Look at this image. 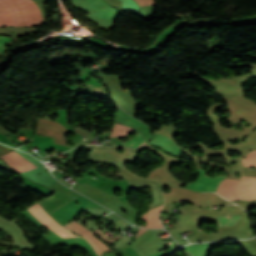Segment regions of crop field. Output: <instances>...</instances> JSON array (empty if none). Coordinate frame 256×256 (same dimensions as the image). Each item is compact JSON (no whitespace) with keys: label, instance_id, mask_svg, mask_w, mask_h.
<instances>
[{"label":"crop field","instance_id":"crop-field-15","mask_svg":"<svg viewBox=\"0 0 256 256\" xmlns=\"http://www.w3.org/2000/svg\"><path fill=\"white\" fill-rule=\"evenodd\" d=\"M145 231H147V230H143V229H140V231L138 232V234H137V237H139L141 234H143Z\"/></svg>","mask_w":256,"mask_h":256},{"label":"crop field","instance_id":"crop-field-6","mask_svg":"<svg viewBox=\"0 0 256 256\" xmlns=\"http://www.w3.org/2000/svg\"><path fill=\"white\" fill-rule=\"evenodd\" d=\"M154 135H155V137L152 139L150 144H152L154 146H158V147L162 148L164 151H166L170 154H173L175 156H179L185 152L182 149H180L177 145H175L171 141L170 138H168L162 134H159L157 132H154Z\"/></svg>","mask_w":256,"mask_h":256},{"label":"crop field","instance_id":"crop-field-12","mask_svg":"<svg viewBox=\"0 0 256 256\" xmlns=\"http://www.w3.org/2000/svg\"><path fill=\"white\" fill-rule=\"evenodd\" d=\"M133 129L127 127V126H123V125H120V124H114V127H113V132L112 134L110 135V137H119V136H124L130 132H132Z\"/></svg>","mask_w":256,"mask_h":256},{"label":"crop field","instance_id":"crop-field-3","mask_svg":"<svg viewBox=\"0 0 256 256\" xmlns=\"http://www.w3.org/2000/svg\"><path fill=\"white\" fill-rule=\"evenodd\" d=\"M197 171L199 173L198 177L194 181L187 183L184 189L197 191V192L215 191L217 185L225 177V176L219 175L217 177L210 178L205 175L208 171L201 170V169H198Z\"/></svg>","mask_w":256,"mask_h":256},{"label":"crop field","instance_id":"crop-field-2","mask_svg":"<svg viewBox=\"0 0 256 256\" xmlns=\"http://www.w3.org/2000/svg\"><path fill=\"white\" fill-rule=\"evenodd\" d=\"M216 193L230 201L256 199V177L242 176L241 180L225 179Z\"/></svg>","mask_w":256,"mask_h":256},{"label":"crop field","instance_id":"crop-field-10","mask_svg":"<svg viewBox=\"0 0 256 256\" xmlns=\"http://www.w3.org/2000/svg\"><path fill=\"white\" fill-rule=\"evenodd\" d=\"M138 133L136 134V136L134 138H132V140L125 141V142H123L119 145H122V146H125V147H128V148H139V147H141L142 145H144V140H143L144 137L139 133L142 136V138H143L142 139ZM119 145H114V146H119Z\"/></svg>","mask_w":256,"mask_h":256},{"label":"crop field","instance_id":"crop-field-1","mask_svg":"<svg viewBox=\"0 0 256 256\" xmlns=\"http://www.w3.org/2000/svg\"><path fill=\"white\" fill-rule=\"evenodd\" d=\"M10 12L14 26H37L44 23L42 12L32 0H0ZM0 5V26H13L9 12Z\"/></svg>","mask_w":256,"mask_h":256},{"label":"crop field","instance_id":"crop-field-9","mask_svg":"<svg viewBox=\"0 0 256 256\" xmlns=\"http://www.w3.org/2000/svg\"><path fill=\"white\" fill-rule=\"evenodd\" d=\"M210 248L211 243L193 244L184 247V249L192 253L193 256H208Z\"/></svg>","mask_w":256,"mask_h":256},{"label":"crop field","instance_id":"crop-field-14","mask_svg":"<svg viewBox=\"0 0 256 256\" xmlns=\"http://www.w3.org/2000/svg\"><path fill=\"white\" fill-rule=\"evenodd\" d=\"M12 150L11 148H8L6 146L0 145V155Z\"/></svg>","mask_w":256,"mask_h":256},{"label":"crop field","instance_id":"crop-field-5","mask_svg":"<svg viewBox=\"0 0 256 256\" xmlns=\"http://www.w3.org/2000/svg\"><path fill=\"white\" fill-rule=\"evenodd\" d=\"M6 163L14 167L20 173L36 168L33 164L23 158L15 151H10L0 156Z\"/></svg>","mask_w":256,"mask_h":256},{"label":"crop field","instance_id":"crop-field-8","mask_svg":"<svg viewBox=\"0 0 256 256\" xmlns=\"http://www.w3.org/2000/svg\"><path fill=\"white\" fill-rule=\"evenodd\" d=\"M140 6L155 4L153 0H135ZM134 0H122L123 9L126 12L136 13L140 11L139 5Z\"/></svg>","mask_w":256,"mask_h":256},{"label":"crop field","instance_id":"crop-field-4","mask_svg":"<svg viewBox=\"0 0 256 256\" xmlns=\"http://www.w3.org/2000/svg\"><path fill=\"white\" fill-rule=\"evenodd\" d=\"M65 227L70 228L71 230L85 237L93 246V248L95 249L98 255L101 256L104 251H109L108 247L105 244H103L101 241H99L97 238L93 236L94 233L82 227L74 220L68 223L67 225H65Z\"/></svg>","mask_w":256,"mask_h":256},{"label":"crop field","instance_id":"crop-field-7","mask_svg":"<svg viewBox=\"0 0 256 256\" xmlns=\"http://www.w3.org/2000/svg\"><path fill=\"white\" fill-rule=\"evenodd\" d=\"M162 206L163 205L156 207L142 215L141 219H145L147 221V225L144 227H146V228H163L160 220L158 219V215L162 209Z\"/></svg>","mask_w":256,"mask_h":256},{"label":"crop field","instance_id":"crop-field-13","mask_svg":"<svg viewBox=\"0 0 256 256\" xmlns=\"http://www.w3.org/2000/svg\"><path fill=\"white\" fill-rule=\"evenodd\" d=\"M242 161L244 166H256V150L248 153Z\"/></svg>","mask_w":256,"mask_h":256},{"label":"crop field","instance_id":"crop-field-11","mask_svg":"<svg viewBox=\"0 0 256 256\" xmlns=\"http://www.w3.org/2000/svg\"><path fill=\"white\" fill-rule=\"evenodd\" d=\"M240 215H233L231 217H217L219 227L235 226L239 220Z\"/></svg>","mask_w":256,"mask_h":256}]
</instances>
